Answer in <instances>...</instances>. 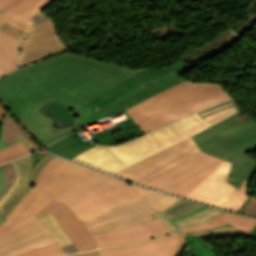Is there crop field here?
Instances as JSON below:
<instances>
[{"instance_id":"obj_1","label":"crop field","mask_w":256,"mask_h":256,"mask_svg":"<svg viewBox=\"0 0 256 256\" xmlns=\"http://www.w3.org/2000/svg\"><path fill=\"white\" fill-rule=\"evenodd\" d=\"M179 198L156 191L144 190L135 198L102 214L84 221L90 232L113 226L129 220L153 214L158 219L95 234L99 248L133 243L182 232L160 211L172 205Z\"/></svg>"},{"instance_id":"obj_2","label":"crop field","mask_w":256,"mask_h":256,"mask_svg":"<svg viewBox=\"0 0 256 256\" xmlns=\"http://www.w3.org/2000/svg\"><path fill=\"white\" fill-rule=\"evenodd\" d=\"M230 98L218 83L184 81L125 111L148 134Z\"/></svg>"},{"instance_id":"obj_3","label":"crop field","mask_w":256,"mask_h":256,"mask_svg":"<svg viewBox=\"0 0 256 256\" xmlns=\"http://www.w3.org/2000/svg\"><path fill=\"white\" fill-rule=\"evenodd\" d=\"M242 111L191 136L200 150L233 163L227 182L240 188L256 174V160L245 152L256 150V121Z\"/></svg>"},{"instance_id":"obj_4","label":"crop field","mask_w":256,"mask_h":256,"mask_svg":"<svg viewBox=\"0 0 256 256\" xmlns=\"http://www.w3.org/2000/svg\"><path fill=\"white\" fill-rule=\"evenodd\" d=\"M182 61L176 66L162 69H143L113 89L97 97L86 105L72 111L78 126L93 123L113 113L121 114L138 102L182 81L179 76L191 69Z\"/></svg>"},{"instance_id":"obj_5","label":"crop field","mask_w":256,"mask_h":256,"mask_svg":"<svg viewBox=\"0 0 256 256\" xmlns=\"http://www.w3.org/2000/svg\"><path fill=\"white\" fill-rule=\"evenodd\" d=\"M207 127L209 126L205 121L198 114H195L136 140L115 146H96L72 160L113 174Z\"/></svg>"},{"instance_id":"obj_6","label":"crop field","mask_w":256,"mask_h":256,"mask_svg":"<svg viewBox=\"0 0 256 256\" xmlns=\"http://www.w3.org/2000/svg\"><path fill=\"white\" fill-rule=\"evenodd\" d=\"M144 189L89 169L56 200L68 204L84 221L135 197Z\"/></svg>"},{"instance_id":"obj_7","label":"crop field","mask_w":256,"mask_h":256,"mask_svg":"<svg viewBox=\"0 0 256 256\" xmlns=\"http://www.w3.org/2000/svg\"><path fill=\"white\" fill-rule=\"evenodd\" d=\"M88 168L54 157L43 169L37 182L24 199L0 225V237L15 228L37 219L35 213L54 200Z\"/></svg>"},{"instance_id":"obj_8","label":"crop field","mask_w":256,"mask_h":256,"mask_svg":"<svg viewBox=\"0 0 256 256\" xmlns=\"http://www.w3.org/2000/svg\"><path fill=\"white\" fill-rule=\"evenodd\" d=\"M108 64L66 52L22 70L52 102Z\"/></svg>"},{"instance_id":"obj_9","label":"crop field","mask_w":256,"mask_h":256,"mask_svg":"<svg viewBox=\"0 0 256 256\" xmlns=\"http://www.w3.org/2000/svg\"><path fill=\"white\" fill-rule=\"evenodd\" d=\"M206 153L200 151L191 137L161 150L114 175L135 181L141 185L193 160Z\"/></svg>"},{"instance_id":"obj_10","label":"crop field","mask_w":256,"mask_h":256,"mask_svg":"<svg viewBox=\"0 0 256 256\" xmlns=\"http://www.w3.org/2000/svg\"><path fill=\"white\" fill-rule=\"evenodd\" d=\"M0 101L17 120L50 103L21 69L0 79Z\"/></svg>"},{"instance_id":"obj_11","label":"crop field","mask_w":256,"mask_h":256,"mask_svg":"<svg viewBox=\"0 0 256 256\" xmlns=\"http://www.w3.org/2000/svg\"><path fill=\"white\" fill-rule=\"evenodd\" d=\"M231 163L225 161L185 197L237 212L249 193L250 183L239 189L226 182Z\"/></svg>"},{"instance_id":"obj_12","label":"crop field","mask_w":256,"mask_h":256,"mask_svg":"<svg viewBox=\"0 0 256 256\" xmlns=\"http://www.w3.org/2000/svg\"><path fill=\"white\" fill-rule=\"evenodd\" d=\"M139 70L141 69L111 63L53 103L63 105L71 111L113 88Z\"/></svg>"},{"instance_id":"obj_13","label":"crop field","mask_w":256,"mask_h":256,"mask_svg":"<svg viewBox=\"0 0 256 256\" xmlns=\"http://www.w3.org/2000/svg\"><path fill=\"white\" fill-rule=\"evenodd\" d=\"M223 162L224 160L207 154L145 186L184 197Z\"/></svg>"},{"instance_id":"obj_14","label":"crop field","mask_w":256,"mask_h":256,"mask_svg":"<svg viewBox=\"0 0 256 256\" xmlns=\"http://www.w3.org/2000/svg\"><path fill=\"white\" fill-rule=\"evenodd\" d=\"M65 49L53 21L33 27L24 41L17 68Z\"/></svg>"},{"instance_id":"obj_15","label":"crop field","mask_w":256,"mask_h":256,"mask_svg":"<svg viewBox=\"0 0 256 256\" xmlns=\"http://www.w3.org/2000/svg\"><path fill=\"white\" fill-rule=\"evenodd\" d=\"M47 211L52 213L61 227L65 230L78 252L98 248L91 234L69 206L54 200L35 215L38 217Z\"/></svg>"},{"instance_id":"obj_16","label":"crop field","mask_w":256,"mask_h":256,"mask_svg":"<svg viewBox=\"0 0 256 256\" xmlns=\"http://www.w3.org/2000/svg\"><path fill=\"white\" fill-rule=\"evenodd\" d=\"M178 235L99 250L101 256H168L177 243Z\"/></svg>"},{"instance_id":"obj_17","label":"crop field","mask_w":256,"mask_h":256,"mask_svg":"<svg viewBox=\"0 0 256 256\" xmlns=\"http://www.w3.org/2000/svg\"><path fill=\"white\" fill-rule=\"evenodd\" d=\"M55 0H8L0 9L8 11L0 18L24 31H28L31 21L28 19L43 10Z\"/></svg>"},{"instance_id":"obj_18","label":"crop field","mask_w":256,"mask_h":256,"mask_svg":"<svg viewBox=\"0 0 256 256\" xmlns=\"http://www.w3.org/2000/svg\"><path fill=\"white\" fill-rule=\"evenodd\" d=\"M19 122L42 147L58 140L59 138L69 133L76 132L73 127L56 131L50 118L42 115L40 111L19 120Z\"/></svg>"},{"instance_id":"obj_19","label":"crop field","mask_w":256,"mask_h":256,"mask_svg":"<svg viewBox=\"0 0 256 256\" xmlns=\"http://www.w3.org/2000/svg\"><path fill=\"white\" fill-rule=\"evenodd\" d=\"M16 229V228H15ZM50 236L39 219L29 222L0 238V254Z\"/></svg>"},{"instance_id":"obj_20","label":"crop field","mask_w":256,"mask_h":256,"mask_svg":"<svg viewBox=\"0 0 256 256\" xmlns=\"http://www.w3.org/2000/svg\"><path fill=\"white\" fill-rule=\"evenodd\" d=\"M144 134L145 133L135 124L132 118H130L116 124L108 130L96 133V135L92 136L91 140L101 145H113Z\"/></svg>"},{"instance_id":"obj_21","label":"crop field","mask_w":256,"mask_h":256,"mask_svg":"<svg viewBox=\"0 0 256 256\" xmlns=\"http://www.w3.org/2000/svg\"><path fill=\"white\" fill-rule=\"evenodd\" d=\"M78 133L66 136L45 149L72 159L79 153L95 146L89 140L83 141Z\"/></svg>"},{"instance_id":"obj_22","label":"crop field","mask_w":256,"mask_h":256,"mask_svg":"<svg viewBox=\"0 0 256 256\" xmlns=\"http://www.w3.org/2000/svg\"><path fill=\"white\" fill-rule=\"evenodd\" d=\"M18 178L13 187L9 190V192L4 196V198L0 201V212L9 204V202L16 196V194L21 190L24 184L27 182L30 173L33 169V160L32 154L23 156L12 161Z\"/></svg>"},{"instance_id":"obj_23","label":"crop field","mask_w":256,"mask_h":256,"mask_svg":"<svg viewBox=\"0 0 256 256\" xmlns=\"http://www.w3.org/2000/svg\"><path fill=\"white\" fill-rule=\"evenodd\" d=\"M228 222L232 223L236 227H239L242 231V236H247L256 225V220L226 212L222 217L216 220L207 222L203 225L184 228L181 230L183 232L201 230V229L210 228V227L221 225Z\"/></svg>"},{"instance_id":"obj_24","label":"crop field","mask_w":256,"mask_h":256,"mask_svg":"<svg viewBox=\"0 0 256 256\" xmlns=\"http://www.w3.org/2000/svg\"><path fill=\"white\" fill-rule=\"evenodd\" d=\"M2 125V122H1ZM33 152L23 137L4 144L3 126L0 136V165L20 156Z\"/></svg>"},{"instance_id":"obj_25","label":"crop field","mask_w":256,"mask_h":256,"mask_svg":"<svg viewBox=\"0 0 256 256\" xmlns=\"http://www.w3.org/2000/svg\"><path fill=\"white\" fill-rule=\"evenodd\" d=\"M38 218L41 220V222L44 224V226L47 228V230L65 252V254L77 252L76 248L74 247L67 234L60 227V225L57 223V221L54 219L50 212L45 213Z\"/></svg>"},{"instance_id":"obj_26","label":"crop field","mask_w":256,"mask_h":256,"mask_svg":"<svg viewBox=\"0 0 256 256\" xmlns=\"http://www.w3.org/2000/svg\"><path fill=\"white\" fill-rule=\"evenodd\" d=\"M52 155H47L44 159H42L38 165L33 169L32 174L22 188V190L18 193V195L11 201V203L0 213V216L5 218L9 214V212L21 201V199L29 192L33 184L36 182L41 170L45 167V165L53 158Z\"/></svg>"},{"instance_id":"obj_27","label":"crop field","mask_w":256,"mask_h":256,"mask_svg":"<svg viewBox=\"0 0 256 256\" xmlns=\"http://www.w3.org/2000/svg\"><path fill=\"white\" fill-rule=\"evenodd\" d=\"M21 42L0 32V58L17 65Z\"/></svg>"},{"instance_id":"obj_28","label":"crop field","mask_w":256,"mask_h":256,"mask_svg":"<svg viewBox=\"0 0 256 256\" xmlns=\"http://www.w3.org/2000/svg\"><path fill=\"white\" fill-rule=\"evenodd\" d=\"M224 213H225V211L217 210V209L210 207V208H208L200 213H197L193 216H190L183 220L177 221V222H175V224L180 228L199 225V224H203L207 221L216 219V218L222 216Z\"/></svg>"},{"instance_id":"obj_29","label":"crop field","mask_w":256,"mask_h":256,"mask_svg":"<svg viewBox=\"0 0 256 256\" xmlns=\"http://www.w3.org/2000/svg\"><path fill=\"white\" fill-rule=\"evenodd\" d=\"M2 122L4 126L5 143L23 136L34 151L39 150L34 142L24 133V131L17 125V123L10 117L8 113H6L2 119Z\"/></svg>"},{"instance_id":"obj_30","label":"crop field","mask_w":256,"mask_h":256,"mask_svg":"<svg viewBox=\"0 0 256 256\" xmlns=\"http://www.w3.org/2000/svg\"><path fill=\"white\" fill-rule=\"evenodd\" d=\"M203 205L187 201V200H179L172 206L166 208L165 210L161 211L163 212L166 216H168L170 219L177 217L179 215H182L190 210H193L195 208L201 207Z\"/></svg>"},{"instance_id":"obj_31","label":"crop field","mask_w":256,"mask_h":256,"mask_svg":"<svg viewBox=\"0 0 256 256\" xmlns=\"http://www.w3.org/2000/svg\"><path fill=\"white\" fill-rule=\"evenodd\" d=\"M193 244L190 252L194 256H215L213 249L207 245L199 236H188Z\"/></svg>"},{"instance_id":"obj_32","label":"crop field","mask_w":256,"mask_h":256,"mask_svg":"<svg viewBox=\"0 0 256 256\" xmlns=\"http://www.w3.org/2000/svg\"><path fill=\"white\" fill-rule=\"evenodd\" d=\"M63 251L57 245V243L48 245L42 248H38L29 252H25L15 256H58L63 255Z\"/></svg>"},{"instance_id":"obj_33","label":"crop field","mask_w":256,"mask_h":256,"mask_svg":"<svg viewBox=\"0 0 256 256\" xmlns=\"http://www.w3.org/2000/svg\"><path fill=\"white\" fill-rule=\"evenodd\" d=\"M3 174L5 177V184L2 193L0 194V200L7 193V191L12 187L15 183L17 174L12 162L5 164L2 166Z\"/></svg>"},{"instance_id":"obj_34","label":"crop field","mask_w":256,"mask_h":256,"mask_svg":"<svg viewBox=\"0 0 256 256\" xmlns=\"http://www.w3.org/2000/svg\"><path fill=\"white\" fill-rule=\"evenodd\" d=\"M240 110H241V108L237 105L235 107H232V108L220 111L218 113L203 117V119L210 126V125H212V124H214V123H216V122H218V121H220V120H222Z\"/></svg>"},{"instance_id":"obj_35","label":"crop field","mask_w":256,"mask_h":256,"mask_svg":"<svg viewBox=\"0 0 256 256\" xmlns=\"http://www.w3.org/2000/svg\"><path fill=\"white\" fill-rule=\"evenodd\" d=\"M52 243H55V240L52 238V236H50L48 238H45L43 240L37 241L35 243H32V244L24 246L22 248L13 250L11 252L5 253V254L0 255V256H12V255H15V254H19V253H22V252H25V251H28V250H32V249H35V248H38V247H42V246H45V245H48V244H52Z\"/></svg>"},{"instance_id":"obj_36","label":"crop field","mask_w":256,"mask_h":256,"mask_svg":"<svg viewBox=\"0 0 256 256\" xmlns=\"http://www.w3.org/2000/svg\"><path fill=\"white\" fill-rule=\"evenodd\" d=\"M0 31L22 41L24 36L26 35V32L8 24L3 22L2 24H0Z\"/></svg>"},{"instance_id":"obj_37","label":"crop field","mask_w":256,"mask_h":256,"mask_svg":"<svg viewBox=\"0 0 256 256\" xmlns=\"http://www.w3.org/2000/svg\"><path fill=\"white\" fill-rule=\"evenodd\" d=\"M238 212L256 217V198L248 196Z\"/></svg>"},{"instance_id":"obj_38","label":"crop field","mask_w":256,"mask_h":256,"mask_svg":"<svg viewBox=\"0 0 256 256\" xmlns=\"http://www.w3.org/2000/svg\"><path fill=\"white\" fill-rule=\"evenodd\" d=\"M154 218H156V217H154L153 215L146 216V217H143V218H140V219L129 221V222L119 224V225H116V226H113V227H109V228H106V229H102V230H99V231H96V232H92V234L102 232V231H106V230H110V229H114V228H118V227H122V226H126V225H130V224H134V223H138V222H142V221H146V220H150V219H154Z\"/></svg>"},{"instance_id":"obj_39","label":"crop field","mask_w":256,"mask_h":256,"mask_svg":"<svg viewBox=\"0 0 256 256\" xmlns=\"http://www.w3.org/2000/svg\"><path fill=\"white\" fill-rule=\"evenodd\" d=\"M201 234H227V235H238L241 236V231L238 228L223 229L214 232L201 233Z\"/></svg>"},{"instance_id":"obj_40","label":"crop field","mask_w":256,"mask_h":256,"mask_svg":"<svg viewBox=\"0 0 256 256\" xmlns=\"http://www.w3.org/2000/svg\"><path fill=\"white\" fill-rule=\"evenodd\" d=\"M39 13V12H38ZM31 21L34 22L33 26L39 25L41 23L47 22L52 20L51 18L47 17L46 15H44L43 13H39L36 16L32 17L31 19H29ZM32 26V27H33Z\"/></svg>"},{"instance_id":"obj_41","label":"crop field","mask_w":256,"mask_h":256,"mask_svg":"<svg viewBox=\"0 0 256 256\" xmlns=\"http://www.w3.org/2000/svg\"><path fill=\"white\" fill-rule=\"evenodd\" d=\"M0 70L6 72L7 74L15 70V66L0 59Z\"/></svg>"},{"instance_id":"obj_42","label":"crop field","mask_w":256,"mask_h":256,"mask_svg":"<svg viewBox=\"0 0 256 256\" xmlns=\"http://www.w3.org/2000/svg\"><path fill=\"white\" fill-rule=\"evenodd\" d=\"M186 236L185 235H179V240L178 243L175 247V249L172 251V253L169 256H174L175 253L181 249V247L183 246L184 242H185Z\"/></svg>"},{"instance_id":"obj_43","label":"crop field","mask_w":256,"mask_h":256,"mask_svg":"<svg viewBox=\"0 0 256 256\" xmlns=\"http://www.w3.org/2000/svg\"><path fill=\"white\" fill-rule=\"evenodd\" d=\"M208 207H209V206H203V207L198 208V209H196V210L190 211V212H188V213H186V214H184V215H182V216H179V217H177V218L172 219V221L175 222V221H177V220L183 219V218L188 217V216H190V215H192V214H195V213H197V212H200V211H202V210H204V209H206V208H208Z\"/></svg>"},{"instance_id":"obj_44","label":"crop field","mask_w":256,"mask_h":256,"mask_svg":"<svg viewBox=\"0 0 256 256\" xmlns=\"http://www.w3.org/2000/svg\"><path fill=\"white\" fill-rule=\"evenodd\" d=\"M228 227H234V226L232 224L228 223V224H224V225H221V226L213 227V228H210V229H206V230H202V231H196V232H188V233L208 232V231H214V230H219V229L228 228Z\"/></svg>"},{"instance_id":"obj_45","label":"crop field","mask_w":256,"mask_h":256,"mask_svg":"<svg viewBox=\"0 0 256 256\" xmlns=\"http://www.w3.org/2000/svg\"><path fill=\"white\" fill-rule=\"evenodd\" d=\"M64 256H100L97 250L94 251H88V252H82L77 254H70V255H64Z\"/></svg>"},{"instance_id":"obj_46","label":"crop field","mask_w":256,"mask_h":256,"mask_svg":"<svg viewBox=\"0 0 256 256\" xmlns=\"http://www.w3.org/2000/svg\"><path fill=\"white\" fill-rule=\"evenodd\" d=\"M186 236H187V235H186ZM191 248H192V244H191L190 240H189L188 237H187L186 248L184 249V251H183L182 253L185 255L188 251L191 250Z\"/></svg>"},{"instance_id":"obj_47","label":"crop field","mask_w":256,"mask_h":256,"mask_svg":"<svg viewBox=\"0 0 256 256\" xmlns=\"http://www.w3.org/2000/svg\"><path fill=\"white\" fill-rule=\"evenodd\" d=\"M3 184H4V178H3V174L0 166V192L2 190Z\"/></svg>"},{"instance_id":"obj_48","label":"crop field","mask_w":256,"mask_h":256,"mask_svg":"<svg viewBox=\"0 0 256 256\" xmlns=\"http://www.w3.org/2000/svg\"><path fill=\"white\" fill-rule=\"evenodd\" d=\"M234 103H236V101H235V102H232V103H229V104H225L224 106H222V107H218V108H215V109H213V110H211V111H214V110H217V109L223 108V107H225V106H228V105H231V104H234ZM211 111H208V112L202 113V114H200V116H201V115H203V114L209 113V112H211Z\"/></svg>"},{"instance_id":"obj_49","label":"crop field","mask_w":256,"mask_h":256,"mask_svg":"<svg viewBox=\"0 0 256 256\" xmlns=\"http://www.w3.org/2000/svg\"><path fill=\"white\" fill-rule=\"evenodd\" d=\"M5 110H4V108L0 105V120L2 119V117L4 116V114H5Z\"/></svg>"},{"instance_id":"obj_50","label":"crop field","mask_w":256,"mask_h":256,"mask_svg":"<svg viewBox=\"0 0 256 256\" xmlns=\"http://www.w3.org/2000/svg\"><path fill=\"white\" fill-rule=\"evenodd\" d=\"M235 105H237V103L234 104V105L228 106V107H226V108H229V107H232V106H235ZM226 108H223V109H226ZM223 109H220V110H223ZM220 110L214 111V112H212V113L218 112V111H220ZM212 113H209V114H212ZM209 114H206V115H209ZM206 115H204V116H206ZM201 117H203V116H201Z\"/></svg>"},{"instance_id":"obj_51","label":"crop field","mask_w":256,"mask_h":256,"mask_svg":"<svg viewBox=\"0 0 256 256\" xmlns=\"http://www.w3.org/2000/svg\"><path fill=\"white\" fill-rule=\"evenodd\" d=\"M232 101H234V99H232V100H230V101H228V102H232ZM228 102H226V103H228ZM223 104H225V103H223ZM223 104L214 106V107H212V108H210V109H208V110H211V109H213V108H215V107H218V106H222ZM208 110H206V111H208ZM201 112H202V111H201ZM204 112H205V111H204ZM199 114H200V113H199Z\"/></svg>"},{"instance_id":"obj_52","label":"crop field","mask_w":256,"mask_h":256,"mask_svg":"<svg viewBox=\"0 0 256 256\" xmlns=\"http://www.w3.org/2000/svg\"><path fill=\"white\" fill-rule=\"evenodd\" d=\"M249 235H256V227L253 229V231Z\"/></svg>"},{"instance_id":"obj_53","label":"crop field","mask_w":256,"mask_h":256,"mask_svg":"<svg viewBox=\"0 0 256 256\" xmlns=\"http://www.w3.org/2000/svg\"><path fill=\"white\" fill-rule=\"evenodd\" d=\"M5 75H7V74L4 73V72H2V71H0V78L3 77V76H5Z\"/></svg>"},{"instance_id":"obj_54","label":"crop field","mask_w":256,"mask_h":256,"mask_svg":"<svg viewBox=\"0 0 256 256\" xmlns=\"http://www.w3.org/2000/svg\"><path fill=\"white\" fill-rule=\"evenodd\" d=\"M4 13H6V12H5V11L0 10V17H1Z\"/></svg>"},{"instance_id":"obj_55","label":"crop field","mask_w":256,"mask_h":256,"mask_svg":"<svg viewBox=\"0 0 256 256\" xmlns=\"http://www.w3.org/2000/svg\"><path fill=\"white\" fill-rule=\"evenodd\" d=\"M7 0H0V6L4 3V2H6Z\"/></svg>"},{"instance_id":"obj_56","label":"crop field","mask_w":256,"mask_h":256,"mask_svg":"<svg viewBox=\"0 0 256 256\" xmlns=\"http://www.w3.org/2000/svg\"><path fill=\"white\" fill-rule=\"evenodd\" d=\"M4 221H5V220H3V219L0 218V224H1L2 222H4Z\"/></svg>"}]
</instances>
